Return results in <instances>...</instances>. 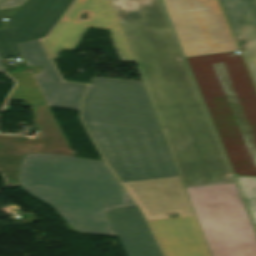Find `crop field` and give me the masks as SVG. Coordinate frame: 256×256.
<instances>
[{
    "label": "crop field",
    "instance_id": "3316defc",
    "mask_svg": "<svg viewBox=\"0 0 256 256\" xmlns=\"http://www.w3.org/2000/svg\"><path fill=\"white\" fill-rule=\"evenodd\" d=\"M27 65H38L45 69L53 83L41 82L54 107L79 110L81 97L88 85L61 82L39 39L17 44Z\"/></svg>",
    "mask_w": 256,
    "mask_h": 256
},
{
    "label": "crop field",
    "instance_id": "00972430",
    "mask_svg": "<svg viewBox=\"0 0 256 256\" xmlns=\"http://www.w3.org/2000/svg\"><path fill=\"white\" fill-rule=\"evenodd\" d=\"M126 198H127V205H131L134 204L133 200L131 199V197L129 196V194L126 191Z\"/></svg>",
    "mask_w": 256,
    "mask_h": 256
},
{
    "label": "crop field",
    "instance_id": "4177f3b9",
    "mask_svg": "<svg viewBox=\"0 0 256 256\" xmlns=\"http://www.w3.org/2000/svg\"><path fill=\"white\" fill-rule=\"evenodd\" d=\"M0 73H4L3 70H2V68H1V65H0Z\"/></svg>",
    "mask_w": 256,
    "mask_h": 256
},
{
    "label": "crop field",
    "instance_id": "214f88e0",
    "mask_svg": "<svg viewBox=\"0 0 256 256\" xmlns=\"http://www.w3.org/2000/svg\"><path fill=\"white\" fill-rule=\"evenodd\" d=\"M27 0H0V10L22 6Z\"/></svg>",
    "mask_w": 256,
    "mask_h": 256
},
{
    "label": "crop field",
    "instance_id": "22f410ed",
    "mask_svg": "<svg viewBox=\"0 0 256 256\" xmlns=\"http://www.w3.org/2000/svg\"><path fill=\"white\" fill-rule=\"evenodd\" d=\"M220 1L238 42L256 38V0Z\"/></svg>",
    "mask_w": 256,
    "mask_h": 256
},
{
    "label": "crop field",
    "instance_id": "a9b5d70f",
    "mask_svg": "<svg viewBox=\"0 0 256 256\" xmlns=\"http://www.w3.org/2000/svg\"><path fill=\"white\" fill-rule=\"evenodd\" d=\"M4 27H6V26L4 25V23L2 22V20L0 18V28H4Z\"/></svg>",
    "mask_w": 256,
    "mask_h": 256
},
{
    "label": "crop field",
    "instance_id": "f4fd0767",
    "mask_svg": "<svg viewBox=\"0 0 256 256\" xmlns=\"http://www.w3.org/2000/svg\"><path fill=\"white\" fill-rule=\"evenodd\" d=\"M85 124L122 182L180 176L161 130Z\"/></svg>",
    "mask_w": 256,
    "mask_h": 256
},
{
    "label": "crop field",
    "instance_id": "92a150f3",
    "mask_svg": "<svg viewBox=\"0 0 256 256\" xmlns=\"http://www.w3.org/2000/svg\"><path fill=\"white\" fill-rule=\"evenodd\" d=\"M33 76H34V78H35V80H36V82H37V84H38V86H39V88H40V90H41V92H42V94H43L47 104H48V106H50V104H49V102H48V100H47V98H46V96L44 94V91L42 89V86H41L40 82L41 81L52 82V81L47 77V75L45 74L44 70L41 73H39L38 75H33Z\"/></svg>",
    "mask_w": 256,
    "mask_h": 256
},
{
    "label": "crop field",
    "instance_id": "cbeb9de0",
    "mask_svg": "<svg viewBox=\"0 0 256 256\" xmlns=\"http://www.w3.org/2000/svg\"><path fill=\"white\" fill-rule=\"evenodd\" d=\"M91 12L89 20H78L82 12ZM64 19L92 23L91 26L108 29L107 22H119L111 0H77Z\"/></svg>",
    "mask_w": 256,
    "mask_h": 256
},
{
    "label": "crop field",
    "instance_id": "ac0d7876",
    "mask_svg": "<svg viewBox=\"0 0 256 256\" xmlns=\"http://www.w3.org/2000/svg\"><path fill=\"white\" fill-rule=\"evenodd\" d=\"M18 178L23 190L52 206L75 231L116 236L103 209L126 205L125 190L104 161L29 154Z\"/></svg>",
    "mask_w": 256,
    "mask_h": 256
},
{
    "label": "crop field",
    "instance_id": "d8731c3e",
    "mask_svg": "<svg viewBox=\"0 0 256 256\" xmlns=\"http://www.w3.org/2000/svg\"><path fill=\"white\" fill-rule=\"evenodd\" d=\"M186 57L236 51L217 0H162Z\"/></svg>",
    "mask_w": 256,
    "mask_h": 256
},
{
    "label": "crop field",
    "instance_id": "dd49c442",
    "mask_svg": "<svg viewBox=\"0 0 256 256\" xmlns=\"http://www.w3.org/2000/svg\"><path fill=\"white\" fill-rule=\"evenodd\" d=\"M185 189L211 256H256V235L235 183Z\"/></svg>",
    "mask_w": 256,
    "mask_h": 256
},
{
    "label": "crop field",
    "instance_id": "34b2d1b8",
    "mask_svg": "<svg viewBox=\"0 0 256 256\" xmlns=\"http://www.w3.org/2000/svg\"><path fill=\"white\" fill-rule=\"evenodd\" d=\"M186 59L235 175L256 177V90L242 56Z\"/></svg>",
    "mask_w": 256,
    "mask_h": 256
},
{
    "label": "crop field",
    "instance_id": "28ad6ade",
    "mask_svg": "<svg viewBox=\"0 0 256 256\" xmlns=\"http://www.w3.org/2000/svg\"><path fill=\"white\" fill-rule=\"evenodd\" d=\"M106 215L128 256H163L136 205L127 206L124 214L106 212Z\"/></svg>",
    "mask_w": 256,
    "mask_h": 256
},
{
    "label": "crop field",
    "instance_id": "4a817a6b",
    "mask_svg": "<svg viewBox=\"0 0 256 256\" xmlns=\"http://www.w3.org/2000/svg\"><path fill=\"white\" fill-rule=\"evenodd\" d=\"M256 225V178L236 177Z\"/></svg>",
    "mask_w": 256,
    "mask_h": 256
},
{
    "label": "crop field",
    "instance_id": "e52e79f7",
    "mask_svg": "<svg viewBox=\"0 0 256 256\" xmlns=\"http://www.w3.org/2000/svg\"><path fill=\"white\" fill-rule=\"evenodd\" d=\"M83 120L161 129L143 82L93 77Z\"/></svg>",
    "mask_w": 256,
    "mask_h": 256
},
{
    "label": "crop field",
    "instance_id": "dafd665d",
    "mask_svg": "<svg viewBox=\"0 0 256 256\" xmlns=\"http://www.w3.org/2000/svg\"><path fill=\"white\" fill-rule=\"evenodd\" d=\"M105 212L106 211H111V212H115V213H118V214H121V213H124L126 211V206L124 207H118V208H112V209H106L104 210Z\"/></svg>",
    "mask_w": 256,
    "mask_h": 256
},
{
    "label": "crop field",
    "instance_id": "bc2a9ffb",
    "mask_svg": "<svg viewBox=\"0 0 256 256\" xmlns=\"http://www.w3.org/2000/svg\"><path fill=\"white\" fill-rule=\"evenodd\" d=\"M242 51L256 83V39L246 41Z\"/></svg>",
    "mask_w": 256,
    "mask_h": 256
},
{
    "label": "crop field",
    "instance_id": "d9b57169",
    "mask_svg": "<svg viewBox=\"0 0 256 256\" xmlns=\"http://www.w3.org/2000/svg\"><path fill=\"white\" fill-rule=\"evenodd\" d=\"M34 136L0 134V152L4 145L29 147ZM22 157L0 155V170L7 178V185L18 182L17 173Z\"/></svg>",
    "mask_w": 256,
    "mask_h": 256
},
{
    "label": "crop field",
    "instance_id": "733c2abd",
    "mask_svg": "<svg viewBox=\"0 0 256 256\" xmlns=\"http://www.w3.org/2000/svg\"><path fill=\"white\" fill-rule=\"evenodd\" d=\"M112 41L122 62H134L119 23H108Z\"/></svg>",
    "mask_w": 256,
    "mask_h": 256
},
{
    "label": "crop field",
    "instance_id": "8a807250",
    "mask_svg": "<svg viewBox=\"0 0 256 256\" xmlns=\"http://www.w3.org/2000/svg\"><path fill=\"white\" fill-rule=\"evenodd\" d=\"M185 187L235 182L158 0H112Z\"/></svg>",
    "mask_w": 256,
    "mask_h": 256
},
{
    "label": "crop field",
    "instance_id": "5a996713",
    "mask_svg": "<svg viewBox=\"0 0 256 256\" xmlns=\"http://www.w3.org/2000/svg\"><path fill=\"white\" fill-rule=\"evenodd\" d=\"M74 0H29L22 7L0 11L8 18L0 29V58L21 56L16 44L47 36Z\"/></svg>",
    "mask_w": 256,
    "mask_h": 256
},
{
    "label": "crop field",
    "instance_id": "5142ce71",
    "mask_svg": "<svg viewBox=\"0 0 256 256\" xmlns=\"http://www.w3.org/2000/svg\"><path fill=\"white\" fill-rule=\"evenodd\" d=\"M89 26L87 23L62 19L49 38L43 40L51 58L58 57L63 49H74Z\"/></svg>",
    "mask_w": 256,
    "mask_h": 256
},
{
    "label": "crop field",
    "instance_id": "d1516ede",
    "mask_svg": "<svg viewBox=\"0 0 256 256\" xmlns=\"http://www.w3.org/2000/svg\"><path fill=\"white\" fill-rule=\"evenodd\" d=\"M35 122L42 135L35 136L29 148L4 146L1 154L24 156L44 152L73 156L48 106H38Z\"/></svg>",
    "mask_w": 256,
    "mask_h": 256
},
{
    "label": "crop field",
    "instance_id": "412701ff",
    "mask_svg": "<svg viewBox=\"0 0 256 256\" xmlns=\"http://www.w3.org/2000/svg\"><path fill=\"white\" fill-rule=\"evenodd\" d=\"M167 256H210L180 177L124 183ZM179 212L169 219L167 213Z\"/></svg>",
    "mask_w": 256,
    "mask_h": 256
}]
</instances>
